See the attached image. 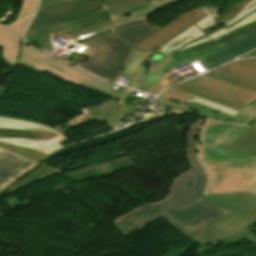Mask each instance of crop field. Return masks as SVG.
<instances>
[{"label":"crop field","instance_id":"crop-field-1","mask_svg":"<svg viewBox=\"0 0 256 256\" xmlns=\"http://www.w3.org/2000/svg\"><path fill=\"white\" fill-rule=\"evenodd\" d=\"M254 31L256 0L240 2L225 9L202 4L140 41L122 76L132 79L128 87L136 88L147 70L141 64L155 51L165 55L137 88L157 94L162 88L179 82L176 78L169 81L165 72L179 64L202 58Z\"/></svg>","mask_w":256,"mask_h":256},{"label":"crop field","instance_id":"crop-field-2","mask_svg":"<svg viewBox=\"0 0 256 256\" xmlns=\"http://www.w3.org/2000/svg\"><path fill=\"white\" fill-rule=\"evenodd\" d=\"M206 183L204 170L187 169L173 178L165 200L145 203L112 222L126 235L164 217L189 234L233 212L201 200Z\"/></svg>","mask_w":256,"mask_h":256},{"label":"crop field","instance_id":"crop-field-3","mask_svg":"<svg viewBox=\"0 0 256 256\" xmlns=\"http://www.w3.org/2000/svg\"><path fill=\"white\" fill-rule=\"evenodd\" d=\"M249 125L206 118L197 138L200 161L210 183L207 194L247 190L256 194V156L221 152Z\"/></svg>","mask_w":256,"mask_h":256},{"label":"crop field","instance_id":"crop-field-4","mask_svg":"<svg viewBox=\"0 0 256 256\" xmlns=\"http://www.w3.org/2000/svg\"><path fill=\"white\" fill-rule=\"evenodd\" d=\"M113 32L83 43L87 61L75 65L113 82L123 73L135 45L160 27L147 19L115 26Z\"/></svg>","mask_w":256,"mask_h":256},{"label":"crop field","instance_id":"crop-field-5","mask_svg":"<svg viewBox=\"0 0 256 256\" xmlns=\"http://www.w3.org/2000/svg\"><path fill=\"white\" fill-rule=\"evenodd\" d=\"M203 200L231 209L234 212L189 235L200 246L198 254L209 251L207 243L224 240L231 243L248 239L256 243V236L247 228L256 222V196L247 192H235L214 196L204 195Z\"/></svg>","mask_w":256,"mask_h":256},{"label":"crop field","instance_id":"crop-field-6","mask_svg":"<svg viewBox=\"0 0 256 256\" xmlns=\"http://www.w3.org/2000/svg\"><path fill=\"white\" fill-rule=\"evenodd\" d=\"M64 133L33 121L0 116V148L37 162L65 147Z\"/></svg>","mask_w":256,"mask_h":256},{"label":"crop field","instance_id":"crop-field-7","mask_svg":"<svg viewBox=\"0 0 256 256\" xmlns=\"http://www.w3.org/2000/svg\"><path fill=\"white\" fill-rule=\"evenodd\" d=\"M195 95L238 110L248 117L256 113V93L204 75L175 85L160 94L161 97L180 103L187 102Z\"/></svg>","mask_w":256,"mask_h":256},{"label":"crop field","instance_id":"crop-field-8","mask_svg":"<svg viewBox=\"0 0 256 256\" xmlns=\"http://www.w3.org/2000/svg\"><path fill=\"white\" fill-rule=\"evenodd\" d=\"M19 62V61H18ZM20 66L39 72H46L69 82L79 84L84 81L99 88L109 90L113 84L98 79L65 61L22 45Z\"/></svg>","mask_w":256,"mask_h":256},{"label":"crop field","instance_id":"crop-field-9","mask_svg":"<svg viewBox=\"0 0 256 256\" xmlns=\"http://www.w3.org/2000/svg\"><path fill=\"white\" fill-rule=\"evenodd\" d=\"M79 86L86 87L107 95H110L114 97V100H107L103 103H100L86 111L89 113L85 114L84 112H81L80 114L76 115L75 117L71 118L67 122L55 127L57 129L62 128L61 131L66 132L72 128L78 127L80 125H83L92 119H100L106 123H108L114 130L115 128L119 129L122 126L117 124L120 119H122L124 116L128 115L130 112L135 110V108L132 107V105H127L124 102L129 98L130 94L133 92V90L125 88L124 91L119 94L114 91H105L102 89H99L97 87H94L92 85L86 84L82 82L79 84ZM109 101H112V103H109Z\"/></svg>","mask_w":256,"mask_h":256},{"label":"crop field","instance_id":"crop-field-10","mask_svg":"<svg viewBox=\"0 0 256 256\" xmlns=\"http://www.w3.org/2000/svg\"><path fill=\"white\" fill-rule=\"evenodd\" d=\"M180 0H102L100 1L105 5L106 11L113 20L106 22L102 25L94 27L90 30L82 32L73 36L76 39L92 34L104 28L110 27L120 22L131 19L145 17L173 2Z\"/></svg>","mask_w":256,"mask_h":256},{"label":"crop field","instance_id":"crop-field-11","mask_svg":"<svg viewBox=\"0 0 256 256\" xmlns=\"http://www.w3.org/2000/svg\"><path fill=\"white\" fill-rule=\"evenodd\" d=\"M104 7L94 0H81L67 5L36 12L29 30L42 28L78 18L86 13Z\"/></svg>","mask_w":256,"mask_h":256},{"label":"crop field","instance_id":"crop-field-12","mask_svg":"<svg viewBox=\"0 0 256 256\" xmlns=\"http://www.w3.org/2000/svg\"><path fill=\"white\" fill-rule=\"evenodd\" d=\"M204 75L256 92V59L231 62Z\"/></svg>","mask_w":256,"mask_h":256},{"label":"crop field","instance_id":"crop-field-13","mask_svg":"<svg viewBox=\"0 0 256 256\" xmlns=\"http://www.w3.org/2000/svg\"><path fill=\"white\" fill-rule=\"evenodd\" d=\"M31 16L13 25L0 26V48L5 61L13 70L20 52V37Z\"/></svg>","mask_w":256,"mask_h":256},{"label":"crop field","instance_id":"crop-field-14","mask_svg":"<svg viewBox=\"0 0 256 256\" xmlns=\"http://www.w3.org/2000/svg\"><path fill=\"white\" fill-rule=\"evenodd\" d=\"M109 20H111L110 16L107 14L104 8H102L100 10L84 15L74 21L51 26L50 29L54 36L58 35L62 38H66Z\"/></svg>","mask_w":256,"mask_h":256},{"label":"crop field","instance_id":"crop-field-15","mask_svg":"<svg viewBox=\"0 0 256 256\" xmlns=\"http://www.w3.org/2000/svg\"><path fill=\"white\" fill-rule=\"evenodd\" d=\"M254 48H256V32L209 54L202 58V62L213 68Z\"/></svg>","mask_w":256,"mask_h":256},{"label":"crop field","instance_id":"crop-field-16","mask_svg":"<svg viewBox=\"0 0 256 256\" xmlns=\"http://www.w3.org/2000/svg\"><path fill=\"white\" fill-rule=\"evenodd\" d=\"M244 123L252 127L223 151L256 155V114Z\"/></svg>","mask_w":256,"mask_h":256},{"label":"crop field","instance_id":"crop-field-17","mask_svg":"<svg viewBox=\"0 0 256 256\" xmlns=\"http://www.w3.org/2000/svg\"><path fill=\"white\" fill-rule=\"evenodd\" d=\"M27 162H29V160L0 149V182Z\"/></svg>","mask_w":256,"mask_h":256},{"label":"crop field","instance_id":"crop-field-18","mask_svg":"<svg viewBox=\"0 0 256 256\" xmlns=\"http://www.w3.org/2000/svg\"><path fill=\"white\" fill-rule=\"evenodd\" d=\"M50 36H52V34L49 28L46 27V28L27 32L25 36V40L30 45L38 49H42V48H46V46L52 45L48 42Z\"/></svg>","mask_w":256,"mask_h":256},{"label":"crop field","instance_id":"crop-field-19","mask_svg":"<svg viewBox=\"0 0 256 256\" xmlns=\"http://www.w3.org/2000/svg\"><path fill=\"white\" fill-rule=\"evenodd\" d=\"M55 171L45 167V166H41L39 169H37L36 171H34L32 174H30L29 176H27L25 179H23L22 181H20L18 184H16L15 186H13L12 188H10L8 191H6L5 193H3L1 196L10 193L14 190H17L23 186H26L32 182H35L39 179H42L52 173H54ZM0 196V197H1Z\"/></svg>","mask_w":256,"mask_h":256},{"label":"crop field","instance_id":"crop-field-20","mask_svg":"<svg viewBox=\"0 0 256 256\" xmlns=\"http://www.w3.org/2000/svg\"><path fill=\"white\" fill-rule=\"evenodd\" d=\"M36 4L37 0H22L15 22L20 21L33 14Z\"/></svg>","mask_w":256,"mask_h":256},{"label":"crop field","instance_id":"crop-field-21","mask_svg":"<svg viewBox=\"0 0 256 256\" xmlns=\"http://www.w3.org/2000/svg\"><path fill=\"white\" fill-rule=\"evenodd\" d=\"M156 103H158L160 105H163V106H166V107L171 108V109L194 112V111L190 110L189 108H187L184 105L177 104V103H174V102H171V101H168V100H164V99H161V98H159Z\"/></svg>","mask_w":256,"mask_h":256},{"label":"crop field","instance_id":"crop-field-22","mask_svg":"<svg viewBox=\"0 0 256 256\" xmlns=\"http://www.w3.org/2000/svg\"><path fill=\"white\" fill-rule=\"evenodd\" d=\"M61 3H65L64 0H41L38 10L53 7Z\"/></svg>","mask_w":256,"mask_h":256},{"label":"crop field","instance_id":"crop-field-23","mask_svg":"<svg viewBox=\"0 0 256 256\" xmlns=\"http://www.w3.org/2000/svg\"><path fill=\"white\" fill-rule=\"evenodd\" d=\"M108 32H111V31H110L109 29H107V30H105V31H102V32L97 33V34H95V35H92V36H90V37H87V38H85V39L78 40V43L81 44V43H83V42H85V41H88V40H90V39H93V38H95V37H97V36L103 35V34L108 33Z\"/></svg>","mask_w":256,"mask_h":256},{"label":"crop field","instance_id":"crop-field-24","mask_svg":"<svg viewBox=\"0 0 256 256\" xmlns=\"http://www.w3.org/2000/svg\"><path fill=\"white\" fill-rule=\"evenodd\" d=\"M249 56H256V50H254V51H252V52H250V53H248V54H246V55H244L242 57H249Z\"/></svg>","mask_w":256,"mask_h":256},{"label":"crop field","instance_id":"crop-field-25","mask_svg":"<svg viewBox=\"0 0 256 256\" xmlns=\"http://www.w3.org/2000/svg\"><path fill=\"white\" fill-rule=\"evenodd\" d=\"M70 1H72V0H65L66 3H67V2H70Z\"/></svg>","mask_w":256,"mask_h":256}]
</instances>
